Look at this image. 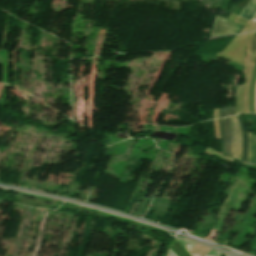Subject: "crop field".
<instances>
[{"label":"crop field","instance_id":"cbeb9de0","mask_svg":"<svg viewBox=\"0 0 256 256\" xmlns=\"http://www.w3.org/2000/svg\"><path fill=\"white\" fill-rule=\"evenodd\" d=\"M253 21H256V16L254 17Z\"/></svg>","mask_w":256,"mask_h":256},{"label":"crop field","instance_id":"8a807250","mask_svg":"<svg viewBox=\"0 0 256 256\" xmlns=\"http://www.w3.org/2000/svg\"><path fill=\"white\" fill-rule=\"evenodd\" d=\"M242 26L216 16L213 30L210 36H223L227 34L240 33Z\"/></svg>","mask_w":256,"mask_h":256},{"label":"crop field","instance_id":"412701ff","mask_svg":"<svg viewBox=\"0 0 256 256\" xmlns=\"http://www.w3.org/2000/svg\"><path fill=\"white\" fill-rule=\"evenodd\" d=\"M224 120V129H225V154L231 156V132L228 118Z\"/></svg>","mask_w":256,"mask_h":256},{"label":"crop field","instance_id":"22f410ed","mask_svg":"<svg viewBox=\"0 0 256 256\" xmlns=\"http://www.w3.org/2000/svg\"><path fill=\"white\" fill-rule=\"evenodd\" d=\"M220 256H225V254L221 253Z\"/></svg>","mask_w":256,"mask_h":256},{"label":"crop field","instance_id":"f4fd0767","mask_svg":"<svg viewBox=\"0 0 256 256\" xmlns=\"http://www.w3.org/2000/svg\"><path fill=\"white\" fill-rule=\"evenodd\" d=\"M249 141H250V149H249L248 163L256 164V136L250 132H249Z\"/></svg>","mask_w":256,"mask_h":256},{"label":"crop field","instance_id":"3316defc","mask_svg":"<svg viewBox=\"0 0 256 256\" xmlns=\"http://www.w3.org/2000/svg\"><path fill=\"white\" fill-rule=\"evenodd\" d=\"M251 54L256 55V32L254 33V36H253V39H252Z\"/></svg>","mask_w":256,"mask_h":256},{"label":"crop field","instance_id":"dd49c442","mask_svg":"<svg viewBox=\"0 0 256 256\" xmlns=\"http://www.w3.org/2000/svg\"><path fill=\"white\" fill-rule=\"evenodd\" d=\"M256 14V0H250L247 6L244 8L240 17L247 18L252 20L254 15Z\"/></svg>","mask_w":256,"mask_h":256},{"label":"crop field","instance_id":"d8731c3e","mask_svg":"<svg viewBox=\"0 0 256 256\" xmlns=\"http://www.w3.org/2000/svg\"><path fill=\"white\" fill-rule=\"evenodd\" d=\"M233 114H234L233 107L219 110V118L229 116V115H233Z\"/></svg>","mask_w":256,"mask_h":256},{"label":"crop field","instance_id":"e52e79f7","mask_svg":"<svg viewBox=\"0 0 256 256\" xmlns=\"http://www.w3.org/2000/svg\"><path fill=\"white\" fill-rule=\"evenodd\" d=\"M177 240L183 245V247L189 252L195 245L196 243H193L188 240L180 239L177 238Z\"/></svg>","mask_w":256,"mask_h":256},{"label":"crop field","instance_id":"ac0d7876","mask_svg":"<svg viewBox=\"0 0 256 256\" xmlns=\"http://www.w3.org/2000/svg\"><path fill=\"white\" fill-rule=\"evenodd\" d=\"M232 129V157L240 160L241 136L238 129L236 117H229Z\"/></svg>","mask_w":256,"mask_h":256},{"label":"crop field","instance_id":"5142ce71","mask_svg":"<svg viewBox=\"0 0 256 256\" xmlns=\"http://www.w3.org/2000/svg\"><path fill=\"white\" fill-rule=\"evenodd\" d=\"M256 63V62H255Z\"/></svg>","mask_w":256,"mask_h":256},{"label":"crop field","instance_id":"5a996713","mask_svg":"<svg viewBox=\"0 0 256 256\" xmlns=\"http://www.w3.org/2000/svg\"><path fill=\"white\" fill-rule=\"evenodd\" d=\"M220 133H221V152L224 153V129H223V121L219 120Z\"/></svg>","mask_w":256,"mask_h":256},{"label":"crop field","instance_id":"34b2d1b8","mask_svg":"<svg viewBox=\"0 0 256 256\" xmlns=\"http://www.w3.org/2000/svg\"><path fill=\"white\" fill-rule=\"evenodd\" d=\"M237 117L239 129L241 132L242 136V153H241V161L247 163V158H248V149H249V141H248V133L247 130H244L243 124L240 120L239 116Z\"/></svg>","mask_w":256,"mask_h":256},{"label":"crop field","instance_id":"d1516ede","mask_svg":"<svg viewBox=\"0 0 256 256\" xmlns=\"http://www.w3.org/2000/svg\"><path fill=\"white\" fill-rule=\"evenodd\" d=\"M255 105H256V88H255Z\"/></svg>","mask_w":256,"mask_h":256},{"label":"crop field","instance_id":"28ad6ade","mask_svg":"<svg viewBox=\"0 0 256 256\" xmlns=\"http://www.w3.org/2000/svg\"><path fill=\"white\" fill-rule=\"evenodd\" d=\"M220 252L210 249L205 256H219Z\"/></svg>","mask_w":256,"mask_h":256}]
</instances>
